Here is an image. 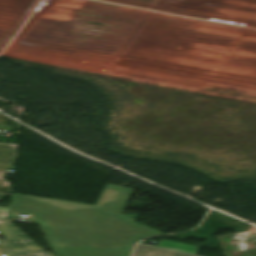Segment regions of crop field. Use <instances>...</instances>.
<instances>
[{"mask_svg": "<svg viewBox=\"0 0 256 256\" xmlns=\"http://www.w3.org/2000/svg\"><path fill=\"white\" fill-rule=\"evenodd\" d=\"M256 244V243H255Z\"/></svg>", "mask_w": 256, "mask_h": 256, "instance_id": "obj_11", "label": "crop field"}, {"mask_svg": "<svg viewBox=\"0 0 256 256\" xmlns=\"http://www.w3.org/2000/svg\"><path fill=\"white\" fill-rule=\"evenodd\" d=\"M133 189L106 185L96 205L13 194L10 211L33 214V222L104 234L136 242L151 229L121 216Z\"/></svg>", "mask_w": 256, "mask_h": 256, "instance_id": "obj_1", "label": "crop field"}, {"mask_svg": "<svg viewBox=\"0 0 256 256\" xmlns=\"http://www.w3.org/2000/svg\"><path fill=\"white\" fill-rule=\"evenodd\" d=\"M0 194L9 195V194H10V192H7V191H0Z\"/></svg>", "mask_w": 256, "mask_h": 256, "instance_id": "obj_9", "label": "crop field"}, {"mask_svg": "<svg viewBox=\"0 0 256 256\" xmlns=\"http://www.w3.org/2000/svg\"><path fill=\"white\" fill-rule=\"evenodd\" d=\"M0 231L5 237L0 243L7 256H54L43 251L10 221L0 220Z\"/></svg>", "mask_w": 256, "mask_h": 256, "instance_id": "obj_3", "label": "crop field"}, {"mask_svg": "<svg viewBox=\"0 0 256 256\" xmlns=\"http://www.w3.org/2000/svg\"><path fill=\"white\" fill-rule=\"evenodd\" d=\"M217 238L226 256H256V246L249 232Z\"/></svg>", "mask_w": 256, "mask_h": 256, "instance_id": "obj_4", "label": "crop field"}, {"mask_svg": "<svg viewBox=\"0 0 256 256\" xmlns=\"http://www.w3.org/2000/svg\"><path fill=\"white\" fill-rule=\"evenodd\" d=\"M55 256H129L135 243L39 224Z\"/></svg>", "mask_w": 256, "mask_h": 256, "instance_id": "obj_2", "label": "crop field"}, {"mask_svg": "<svg viewBox=\"0 0 256 256\" xmlns=\"http://www.w3.org/2000/svg\"><path fill=\"white\" fill-rule=\"evenodd\" d=\"M0 256H1V248H0Z\"/></svg>", "mask_w": 256, "mask_h": 256, "instance_id": "obj_10", "label": "crop field"}, {"mask_svg": "<svg viewBox=\"0 0 256 256\" xmlns=\"http://www.w3.org/2000/svg\"><path fill=\"white\" fill-rule=\"evenodd\" d=\"M16 145L0 144V190L10 191V184L3 180L7 165L13 166Z\"/></svg>", "mask_w": 256, "mask_h": 256, "instance_id": "obj_5", "label": "crop field"}, {"mask_svg": "<svg viewBox=\"0 0 256 256\" xmlns=\"http://www.w3.org/2000/svg\"><path fill=\"white\" fill-rule=\"evenodd\" d=\"M157 233H158L157 231L152 230V232L149 234V236L156 235ZM149 236H148V237H149Z\"/></svg>", "mask_w": 256, "mask_h": 256, "instance_id": "obj_8", "label": "crop field"}, {"mask_svg": "<svg viewBox=\"0 0 256 256\" xmlns=\"http://www.w3.org/2000/svg\"><path fill=\"white\" fill-rule=\"evenodd\" d=\"M158 246L196 254L199 248L162 240Z\"/></svg>", "mask_w": 256, "mask_h": 256, "instance_id": "obj_7", "label": "crop field"}, {"mask_svg": "<svg viewBox=\"0 0 256 256\" xmlns=\"http://www.w3.org/2000/svg\"><path fill=\"white\" fill-rule=\"evenodd\" d=\"M133 256H192V255H187V254L170 251V250L152 248V247L138 244Z\"/></svg>", "mask_w": 256, "mask_h": 256, "instance_id": "obj_6", "label": "crop field"}]
</instances>
